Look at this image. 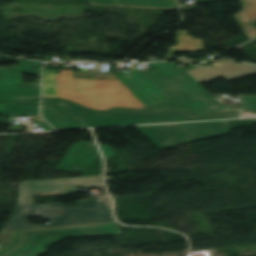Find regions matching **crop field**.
Masks as SVG:
<instances>
[{
    "mask_svg": "<svg viewBox=\"0 0 256 256\" xmlns=\"http://www.w3.org/2000/svg\"><path fill=\"white\" fill-rule=\"evenodd\" d=\"M116 222L23 231L20 246L3 256H35L66 237L118 235Z\"/></svg>",
    "mask_w": 256,
    "mask_h": 256,
    "instance_id": "obj_5",
    "label": "crop field"
},
{
    "mask_svg": "<svg viewBox=\"0 0 256 256\" xmlns=\"http://www.w3.org/2000/svg\"><path fill=\"white\" fill-rule=\"evenodd\" d=\"M146 107L169 100L142 72L139 70L116 76Z\"/></svg>",
    "mask_w": 256,
    "mask_h": 256,
    "instance_id": "obj_9",
    "label": "crop field"
},
{
    "mask_svg": "<svg viewBox=\"0 0 256 256\" xmlns=\"http://www.w3.org/2000/svg\"><path fill=\"white\" fill-rule=\"evenodd\" d=\"M10 68H16V67H10Z\"/></svg>",
    "mask_w": 256,
    "mask_h": 256,
    "instance_id": "obj_27",
    "label": "crop field"
},
{
    "mask_svg": "<svg viewBox=\"0 0 256 256\" xmlns=\"http://www.w3.org/2000/svg\"><path fill=\"white\" fill-rule=\"evenodd\" d=\"M138 128L161 148L188 142L178 124L148 125Z\"/></svg>",
    "mask_w": 256,
    "mask_h": 256,
    "instance_id": "obj_11",
    "label": "crop field"
},
{
    "mask_svg": "<svg viewBox=\"0 0 256 256\" xmlns=\"http://www.w3.org/2000/svg\"><path fill=\"white\" fill-rule=\"evenodd\" d=\"M2 104H0V113H1Z\"/></svg>",
    "mask_w": 256,
    "mask_h": 256,
    "instance_id": "obj_26",
    "label": "crop field"
},
{
    "mask_svg": "<svg viewBox=\"0 0 256 256\" xmlns=\"http://www.w3.org/2000/svg\"><path fill=\"white\" fill-rule=\"evenodd\" d=\"M39 100L3 103L2 115H38Z\"/></svg>",
    "mask_w": 256,
    "mask_h": 256,
    "instance_id": "obj_17",
    "label": "crop field"
},
{
    "mask_svg": "<svg viewBox=\"0 0 256 256\" xmlns=\"http://www.w3.org/2000/svg\"><path fill=\"white\" fill-rule=\"evenodd\" d=\"M114 2L115 0H91V5L163 10L177 7L175 0H118L117 4Z\"/></svg>",
    "mask_w": 256,
    "mask_h": 256,
    "instance_id": "obj_13",
    "label": "crop field"
},
{
    "mask_svg": "<svg viewBox=\"0 0 256 256\" xmlns=\"http://www.w3.org/2000/svg\"><path fill=\"white\" fill-rule=\"evenodd\" d=\"M217 117H218V119L239 118L240 114H239V112L231 113V114H220V115H217Z\"/></svg>",
    "mask_w": 256,
    "mask_h": 256,
    "instance_id": "obj_23",
    "label": "crop field"
},
{
    "mask_svg": "<svg viewBox=\"0 0 256 256\" xmlns=\"http://www.w3.org/2000/svg\"><path fill=\"white\" fill-rule=\"evenodd\" d=\"M57 90L58 98L71 100L94 110L145 107L119 80L74 79L73 70L58 72Z\"/></svg>",
    "mask_w": 256,
    "mask_h": 256,
    "instance_id": "obj_2",
    "label": "crop field"
},
{
    "mask_svg": "<svg viewBox=\"0 0 256 256\" xmlns=\"http://www.w3.org/2000/svg\"><path fill=\"white\" fill-rule=\"evenodd\" d=\"M42 115L56 129L80 128L78 121L61 113L57 108L42 104Z\"/></svg>",
    "mask_w": 256,
    "mask_h": 256,
    "instance_id": "obj_15",
    "label": "crop field"
},
{
    "mask_svg": "<svg viewBox=\"0 0 256 256\" xmlns=\"http://www.w3.org/2000/svg\"><path fill=\"white\" fill-rule=\"evenodd\" d=\"M11 233H12L13 241L5 249L0 250V256H2L3 254H5L8 251H11L20 242L22 231H15V232H11Z\"/></svg>",
    "mask_w": 256,
    "mask_h": 256,
    "instance_id": "obj_21",
    "label": "crop field"
},
{
    "mask_svg": "<svg viewBox=\"0 0 256 256\" xmlns=\"http://www.w3.org/2000/svg\"><path fill=\"white\" fill-rule=\"evenodd\" d=\"M56 75H57V72L44 70L43 72L44 97H47V98L57 97Z\"/></svg>",
    "mask_w": 256,
    "mask_h": 256,
    "instance_id": "obj_19",
    "label": "crop field"
},
{
    "mask_svg": "<svg viewBox=\"0 0 256 256\" xmlns=\"http://www.w3.org/2000/svg\"><path fill=\"white\" fill-rule=\"evenodd\" d=\"M29 216H39L50 220V222L46 225L33 226L27 222V217ZM110 221H115L112 217L111 209L81 211L61 203L23 205L14 207L11 218L3 226V231Z\"/></svg>",
    "mask_w": 256,
    "mask_h": 256,
    "instance_id": "obj_4",
    "label": "crop field"
},
{
    "mask_svg": "<svg viewBox=\"0 0 256 256\" xmlns=\"http://www.w3.org/2000/svg\"><path fill=\"white\" fill-rule=\"evenodd\" d=\"M76 185L104 188L102 175L24 181L20 182L21 200L18 205L34 204L32 197L35 196L76 192Z\"/></svg>",
    "mask_w": 256,
    "mask_h": 256,
    "instance_id": "obj_6",
    "label": "crop field"
},
{
    "mask_svg": "<svg viewBox=\"0 0 256 256\" xmlns=\"http://www.w3.org/2000/svg\"><path fill=\"white\" fill-rule=\"evenodd\" d=\"M200 59L213 61L210 58H200ZM194 61L195 60L185 58V59H178L177 62L192 64ZM213 62L214 63L221 62L222 65L212 67V68H209V67L197 68V69L189 70L188 72L199 83L220 78V77L230 82V81H234L237 79H241V78L256 74V66L254 65H248L243 63L236 64L234 62H231L225 59H221Z\"/></svg>",
    "mask_w": 256,
    "mask_h": 256,
    "instance_id": "obj_8",
    "label": "crop field"
},
{
    "mask_svg": "<svg viewBox=\"0 0 256 256\" xmlns=\"http://www.w3.org/2000/svg\"><path fill=\"white\" fill-rule=\"evenodd\" d=\"M201 50H204L203 39H194V36H189L188 30L178 31V46L171 47L166 59H172L174 52Z\"/></svg>",
    "mask_w": 256,
    "mask_h": 256,
    "instance_id": "obj_16",
    "label": "crop field"
},
{
    "mask_svg": "<svg viewBox=\"0 0 256 256\" xmlns=\"http://www.w3.org/2000/svg\"><path fill=\"white\" fill-rule=\"evenodd\" d=\"M98 157L94 143L81 142L71 148L57 169L85 173Z\"/></svg>",
    "mask_w": 256,
    "mask_h": 256,
    "instance_id": "obj_10",
    "label": "crop field"
},
{
    "mask_svg": "<svg viewBox=\"0 0 256 256\" xmlns=\"http://www.w3.org/2000/svg\"><path fill=\"white\" fill-rule=\"evenodd\" d=\"M189 142L228 134V121L179 124Z\"/></svg>",
    "mask_w": 256,
    "mask_h": 256,
    "instance_id": "obj_12",
    "label": "crop field"
},
{
    "mask_svg": "<svg viewBox=\"0 0 256 256\" xmlns=\"http://www.w3.org/2000/svg\"><path fill=\"white\" fill-rule=\"evenodd\" d=\"M100 147H101V150H102L106 159L117 155L115 150H113L112 148H110L106 145H101L100 144Z\"/></svg>",
    "mask_w": 256,
    "mask_h": 256,
    "instance_id": "obj_22",
    "label": "crop field"
},
{
    "mask_svg": "<svg viewBox=\"0 0 256 256\" xmlns=\"http://www.w3.org/2000/svg\"><path fill=\"white\" fill-rule=\"evenodd\" d=\"M82 210L111 208L108 195L91 196L89 200L79 201L75 206Z\"/></svg>",
    "mask_w": 256,
    "mask_h": 256,
    "instance_id": "obj_18",
    "label": "crop field"
},
{
    "mask_svg": "<svg viewBox=\"0 0 256 256\" xmlns=\"http://www.w3.org/2000/svg\"><path fill=\"white\" fill-rule=\"evenodd\" d=\"M202 3H206V2H212V1H217V0H200Z\"/></svg>",
    "mask_w": 256,
    "mask_h": 256,
    "instance_id": "obj_24",
    "label": "crop field"
},
{
    "mask_svg": "<svg viewBox=\"0 0 256 256\" xmlns=\"http://www.w3.org/2000/svg\"><path fill=\"white\" fill-rule=\"evenodd\" d=\"M251 121H252L253 123H256V119H251Z\"/></svg>",
    "mask_w": 256,
    "mask_h": 256,
    "instance_id": "obj_25",
    "label": "crop field"
},
{
    "mask_svg": "<svg viewBox=\"0 0 256 256\" xmlns=\"http://www.w3.org/2000/svg\"><path fill=\"white\" fill-rule=\"evenodd\" d=\"M241 98H242V111L256 112V96L241 95Z\"/></svg>",
    "mask_w": 256,
    "mask_h": 256,
    "instance_id": "obj_20",
    "label": "crop field"
},
{
    "mask_svg": "<svg viewBox=\"0 0 256 256\" xmlns=\"http://www.w3.org/2000/svg\"><path fill=\"white\" fill-rule=\"evenodd\" d=\"M39 62L23 60L17 69H0V101L26 100L40 97V84H22L21 74L39 76L40 71L31 69Z\"/></svg>",
    "mask_w": 256,
    "mask_h": 256,
    "instance_id": "obj_7",
    "label": "crop field"
},
{
    "mask_svg": "<svg viewBox=\"0 0 256 256\" xmlns=\"http://www.w3.org/2000/svg\"><path fill=\"white\" fill-rule=\"evenodd\" d=\"M157 69L147 77L171 100L145 109L113 108L114 110H193L195 114L216 113L214 99L183 68L174 63H152Z\"/></svg>",
    "mask_w": 256,
    "mask_h": 256,
    "instance_id": "obj_1",
    "label": "crop field"
},
{
    "mask_svg": "<svg viewBox=\"0 0 256 256\" xmlns=\"http://www.w3.org/2000/svg\"><path fill=\"white\" fill-rule=\"evenodd\" d=\"M43 103L57 107L66 115L79 121L81 128L160 122H179L217 119L216 115L192 116V112H123L104 113L92 111L57 99L43 100Z\"/></svg>",
    "mask_w": 256,
    "mask_h": 256,
    "instance_id": "obj_3",
    "label": "crop field"
},
{
    "mask_svg": "<svg viewBox=\"0 0 256 256\" xmlns=\"http://www.w3.org/2000/svg\"><path fill=\"white\" fill-rule=\"evenodd\" d=\"M243 9L233 15L244 30L246 36L252 40L256 38V0H239Z\"/></svg>",
    "mask_w": 256,
    "mask_h": 256,
    "instance_id": "obj_14",
    "label": "crop field"
}]
</instances>
